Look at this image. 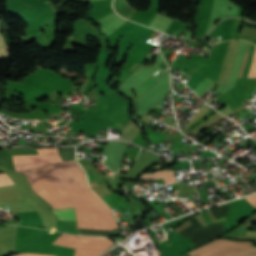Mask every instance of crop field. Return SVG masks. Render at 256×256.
<instances>
[{
    "label": "crop field",
    "mask_w": 256,
    "mask_h": 256,
    "mask_svg": "<svg viewBox=\"0 0 256 256\" xmlns=\"http://www.w3.org/2000/svg\"><path fill=\"white\" fill-rule=\"evenodd\" d=\"M115 10L123 17L129 18L136 10L131 7L126 0H116L114 3Z\"/></svg>",
    "instance_id": "crop-field-5"
},
{
    "label": "crop field",
    "mask_w": 256,
    "mask_h": 256,
    "mask_svg": "<svg viewBox=\"0 0 256 256\" xmlns=\"http://www.w3.org/2000/svg\"><path fill=\"white\" fill-rule=\"evenodd\" d=\"M114 242L107 238L60 235L53 244L76 248L74 256H98Z\"/></svg>",
    "instance_id": "crop-field-3"
},
{
    "label": "crop field",
    "mask_w": 256,
    "mask_h": 256,
    "mask_svg": "<svg viewBox=\"0 0 256 256\" xmlns=\"http://www.w3.org/2000/svg\"><path fill=\"white\" fill-rule=\"evenodd\" d=\"M250 204L256 207V194L245 198Z\"/></svg>",
    "instance_id": "crop-field-13"
},
{
    "label": "crop field",
    "mask_w": 256,
    "mask_h": 256,
    "mask_svg": "<svg viewBox=\"0 0 256 256\" xmlns=\"http://www.w3.org/2000/svg\"><path fill=\"white\" fill-rule=\"evenodd\" d=\"M14 256H49V255H39V254H30V253H23V254H17Z\"/></svg>",
    "instance_id": "crop-field-14"
},
{
    "label": "crop field",
    "mask_w": 256,
    "mask_h": 256,
    "mask_svg": "<svg viewBox=\"0 0 256 256\" xmlns=\"http://www.w3.org/2000/svg\"><path fill=\"white\" fill-rule=\"evenodd\" d=\"M139 65H140V64H138V63L135 62V63L128 69V71L133 72Z\"/></svg>",
    "instance_id": "crop-field-15"
},
{
    "label": "crop field",
    "mask_w": 256,
    "mask_h": 256,
    "mask_svg": "<svg viewBox=\"0 0 256 256\" xmlns=\"http://www.w3.org/2000/svg\"><path fill=\"white\" fill-rule=\"evenodd\" d=\"M190 256H256V248L250 242L216 240L188 252Z\"/></svg>",
    "instance_id": "crop-field-2"
},
{
    "label": "crop field",
    "mask_w": 256,
    "mask_h": 256,
    "mask_svg": "<svg viewBox=\"0 0 256 256\" xmlns=\"http://www.w3.org/2000/svg\"><path fill=\"white\" fill-rule=\"evenodd\" d=\"M31 188L54 209L74 207L77 228L118 229L111 209L89 188L76 160L50 164L22 172Z\"/></svg>",
    "instance_id": "crop-field-1"
},
{
    "label": "crop field",
    "mask_w": 256,
    "mask_h": 256,
    "mask_svg": "<svg viewBox=\"0 0 256 256\" xmlns=\"http://www.w3.org/2000/svg\"><path fill=\"white\" fill-rule=\"evenodd\" d=\"M52 212L58 216V220H75L73 208L53 210Z\"/></svg>",
    "instance_id": "crop-field-7"
},
{
    "label": "crop field",
    "mask_w": 256,
    "mask_h": 256,
    "mask_svg": "<svg viewBox=\"0 0 256 256\" xmlns=\"http://www.w3.org/2000/svg\"><path fill=\"white\" fill-rule=\"evenodd\" d=\"M211 80H204L200 85H198L193 91L199 96L203 90L208 86Z\"/></svg>",
    "instance_id": "crop-field-10"
},
{
    "label": "crop field",
    "mask_w": 256,
    "mask_h": 256,
    "mask_svg": "<svg viewBox=\"0 0 256 256\" xmlns=\"http://www.w3.org/2000/svg\"><path fill=\"white\" fill-rule=\"evenodd\" d=\"M3 58H9V45H6L0 31V60Z\"/></svg>",
    "instance_id": "crop-field-9"
},
{
    "label": "crop field",
    "mask_w": 256,
    "mask_h": 256,
    "mask_svg": "<svg viewBox=\"0 0 256 256\" xmlns=\"http://www.w3.org/2000/svg\"><path fill=\"white\" fill-rule=\"evenodd\" d=\"M248 77H256V51H254L253 62Z\"/></svg>",
    "instance_id": "crop-field-12"
},
{
    "label": "crop field",
    "mask_w": 256,
    "mask_h": 256,
    "mask_svg": "<svg viewBox=\"0 0 256 256\" xmlns=\"http://www.w3.org/2000/svg\"><path fill=\"white\" fill-rule=\"evenodd\" d=\"M39 155H15L13 162L15 170L21 171L41 165L62 161L56 148L37 149Z\"/></svg>",
    "instance_id": "crop-field-4"
},
{
    "label": "crop field",
    "mask_w": 256,
    "mask_h": 256,
    "mask_svg": "<svg viewBox=\"0 0 256 256\" xmlns=\"http://www.w3.org/2000/svg\"><path fill=\"white\" fill-rule=\"evenodd\" d=\"M166 70H161L154 77L151 76L145 83H143L140 87H138L136 90H134L136 95H137V97L140 96L142 93H144L148 88H150L161 77V75Z\"/></svg>",
    "instance_id": "crop-field-6"
},
{
    "label": "crop field",
    "mask_w": 256,
    "mask_h": 256,
    "mask_svg": "<svg viewBox=\"0 0 256 256\" xmlns=\"http://www.w3.org/2000/svg\"><path fill=\"white\" fill-rule=\"evenodd\" d=\"M246 235H256V231H247Z\"/></svg>",
    "instance_id": "crop-field-16"
},
{
    "label": "crop field",
    "mask_w": 256,
    "mask_h": 256,
    "mask_svg": "<svg viewBox=\"0 0 256 256\" xmlns=\"http://www.w3.org/2000/svg\"><path fill=\"white\" fill-rule=\"evenodd\" d=\"M167 176H173V172L172 171H158L155 173H147L141 176V179H144V181L146 180H150V179H159V178H163V177H167Z\"/></svg>",
    "instance_id": "crop-field-8"
},
{
    "label": "crop field",
    "mask_w": 256,
    "mask_h": 256,
    "mask_svg": "<svg viewBox=\"0 0 256 256\" xmlns=\"http://www.w3.org/2000/svg\"><path fill=\"white\" fill-rule=\"evenodd\" d=\"M8 179H10V177L7 176L6 174H1L0 175V180H8ZM12 185H15L12 180L0 181V187L12 186Z\"/></svg>",
    "instance_id": "crop-field-11"
}]
</instances>
